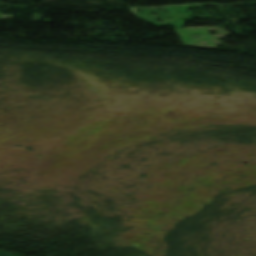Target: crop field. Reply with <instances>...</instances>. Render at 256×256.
<instances>
[{
    "label": "crop field",
    "instance_id": "8a807250",
    "mask_svg": "<svg viewBox=\"0 0 256 256\" xmlns=\"http://www.w3.org/2000/svg\"><path fill=\"white\" fill-rule=\"evenodd\" d=\"M0 256H14V255H11V254H9V253L6 252V251L0 250Z\"/></svg>",
    "mask_w": 256,
    "mask_h": 256
}]
</instances>
